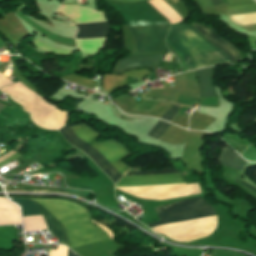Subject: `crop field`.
<instances>
[{"instance_id": "obj_1", "label": "crop field", "mask_w": 256, "mask_h": 256, "mask_svg": "<svg viewBox=\"0 0 256 256\" xmlns=\"http://www.w3.org/2000/svg\"><path fill=\"white\" fill-rule=\"evenodd\" d=\"M171 172L177 171L174 169H164L160 171H142L138 173H127V175ZM174 183H185L184 180L180 178V173L124 176L117 183L116 186ZM155 209L162 221L149 224V228L216 215L214 209L209 204H207L202 199V197L183 200L168 205L157 206L155 207Z\"/></svg>"}, {"instance_id": "obj_2", "label": "crop field", "mask_w": 256, "mask_h": 256, "mask_svg": "<svg viewBox=\"0 0 256 256\" xmlns=\"http://www.w3.org/2000/svg\"><path fill=\"white\" fill-rule=\"evenodd\" d=\"M73 128L81 138L100 151L122 175L129 170V167L122 162V160L131 155L125 146L115 142L114 140L98 143L96 140L100 134L86 126L84 123L73 125ZM73 128L72 126L68 127L66 125L59 131L71 145L90 157L97 166L113 180L114 183L122 178L123 176L110 164V162L94 147L81 139Z\"/></svg>"}, {"instance_id": "obj_3", "label": "crop field", "mask_w": 256, "mask_h": 256, "mask_svg": "<svg viewBox=\"0 0 256 256\" xmlns=\"http://www.w3.org/2000/svg\"><path fill=\"white\" fill-rule=\"evenodd\" d=\"M166 40L182 56L188 70L228 62L224 53L212 46L189 25H172Z\"/></svg>"}, {"instance_id": "obj_4", "label": "crop field", "mask_w": 256, "mask_h": 256, "mask_svg": "<svg viewBox=\"0 0 256 256\" xmlns=\"http://www.w3.org/2000/svg\"><path fill=\"white\" fill-rule=\"evenodd\" d=\"M49 210L63 225L90 221L89 210L68 201L33 199Z\"/></svg>"}, {"instance_id": "obj_5", "label": "crop field", "mask_w": 256, "mask_h": 256, "mask_svg": "<svg viewBox=\"0 0 256 256\" xmlns=\"http://www.w3.org/2000/svg\"><path fill=\"white\" fill-rule=\"evenodd\" d=\"M168 26L129 27L136 38L138 52L168 51L164 45Z\"/></svg>"}, {"instance_id": "obj_6", "label": "crop field", "mask_w": 256, "mask_h": 256, "mask_svg": "<svg viewBox=\"0 0 256 256\" xmlns=\"http://www.w3.org/2000/svg\"><path fill=\"white\" fill-rule=\"evenodd\" d=\"M70 241V248L110 240L107 234L91 223H80L65 226Z\"/></svg>"}, {"instance_id": "obj_7", "label": "crop field", "mask_w": 256, "mask_h": 256, "mask_svg": "<svg viewBox=\"0 0 256 256\" xmlns=\"http://www.w3.org/2000/svg\"><path fill=\"white\" fill-rule=\"evenodd\" d=\"M163 56L127 57L116 63L113 72L121 73L124 70L136 67H150L157 65Z\"/></svg>"}, {"instance_id": "obj_8", "label": "crop field", "mask_w": 256, "mask_h": 256, "mask_svg": "<svg viewBox=\"0 0 256 256\" xmlns=\"http://www.w3.org/2000/svg\"><path fill=\"white\" fill-rule=\"evenodd\" d=\"M193 25L203 34V36L208 41L212 42L213 44L218 46L220 49H222L229 56L231 63L241 61L237 53V50L234 47L227 44L226 42H224L223 40H221L220 38H218L217 35L211 29H208L204 26H199L197 24H193Z\"/></svg>"}, {"instance_id": "obj_9", "label": "crop field", "mask_w": 256, "mask_h": 256, "mask_svg": "<svg viewBox=\"0 0 256 256\" xmlns=\"http://www.w3.org/2000/svg\"><path fill=\"white\" fill-rule=\"evenodd\" d=\"M76 39L106 37L109 29L107 22L78 24Z\"/></svg>"}, {"instance_id": "obj_10", "label": "crop field", "mask_w": 256, "mask_h": 256, "mask_svg": "<svg viewBox=\"0 0 256 256\" xmlns=\"http://www.w3.org/2000/svg\"><path fill=\"white\" fill-rule=\"evenodd\" d=\"M221 165L243 170L247 162H245L237 153L226 147L221 150L219 160Z\"/></svg>"}, {"instance_id": "obj_11", "label": "crop field", "mask_w": 256, "mask_h": 256, "mask_svg": "<svg viewBox=\"0 0 256 256\" xmlns=\"http://www.w3.org/2000/svg\"><path fill=\"white\" fill-rule=\"evenodd\" d=\"M196 74L200 80L201 96H216L211 82L213 75V67L198 70L196 71Z\"/></svg>"}, {"instance_id": "obj_12", "label": "crop field", "mask_w": 256, "mask_h": 256, "mask_svg": "<svg viewBox=\"0 0 256 256\" xmlns=\"http://www.w3.org/2000/svg\"><path fill=\"white\" fill-rule=\"evenodd\" d=\"M41 210L43 217L48 225L49 230L58 238L60 242H68L65 229L59 222L49 214L45 209H43L39 204L35 203Z\"/></svg>"}, {"instance_id": "obj_13", "label": "crop field", "mask_w": 256, "mask_h": 256, "mask_svg": "<svg viewBox=\"0 0 256 256\" xmlns=\"http://www.w3.org/2000/svg\"><path fill=\"white\" fill-rule=\"evenodd\" d=\"M125 81H126V77L104 74L103 76L104 91L110 93L114 89L120 86H124Z\"/></svg>"}, {"instance_id": "obj_14", "label": "crop field", "mask_w": 256, "mask_h": 256, "mask_svg": "<svg viewBox=\"0 0 256 256\" xmlns=\"http://www.w3.org/2000/svg\"><path fill=\"white\" fill-rule=\"evenodd\" d=\"M22 207L23 216L41 215L34 202L28 199H12Z\"/></svg>"}, {"instance_id": "obj_15", "label": "crop field", "mask_w": 256, "mask_h": 256, "mask_svg": "<svg viewBox=\"0 0 256 256\" xmlns=\"http://www.w3.org/2000/svg\"><path fill=\"white\" fill-rule=\"evenodd\" d=\"M229 10L256 7V3L253 0H228Z\"/></svg>"}, {"instance_id": "obj_16", "label": "crop field", "mask_w": 256, "mask_h": 256, "mask_svg": "<svg viewBox=\"0 0 256 256\" xmlns=\"http://www.w3.org/2000/svg\"><path fill=\"white\" fill-rule=\"evenodd\" d=\"M63 79L72 81L74 83L85 86L87 88H91L92 84L95 81V80L86 79L78 74H71V75L64 77Z\"/></svg>"}, {"instance_id": "obj_17", "label": "crop field", "mask_w": 256, "mask_h": 256, "mask_svg": "<svg viewBox=\"0 0 256 256\" xmlns=\"http://www.w3.org/2000/svg\"><path fill=\"white\" fill-rule=\"evenodd\" d=\"M168 126L169 123L159 120L148 135L159 139V137L162 135V133L166 130Z\"/></svg>"}, {"instance_id": "obj_18", "label": "crop field", "mask_w": 256, "mask_h": 256, "mask_svg": "<svg viewBox=\"0 0 256 256\" xmlns=\"http://www.w3.org/2000/svg\"><path fill=\"white\" fill-rule=\"evenodd\" d=\"M22 156V154H19L18 152H14L13 150L9 151L5 155L0 157V167L13 161L14 159Z\"/></svg>"}, {"instance_id": "obj_19", "label": "crop field", "mask_w": 256, "mask_h": 256, "mask_svg": "<svg viewBox=\"0 0 256 256\" xmlns=\"http://www.w3.org/2000/svg\"><path fill=\"white\" fill-rule=\"evenodd\" d=\"M180 107L172 105L162 116V119L172 122L175 116L178 114Z\"/></svg>"}, {"instance_id": "obj_20", "label": "crop field", "mask_w": 256, "mask_h": 256, "mask_svg": "<svg viewBox=\"0 0 256 256\" xmlns=\"http://www.w3.org/2000/svg\"><path fill=\"white\" fill-rule=\"evenodd\" d=\"M151 71L148 69H143V70H136V71H130V72H125L123 75H130L138 80L142 79L144 76H146L148 73Z\"/></svg>"}, {"instance_id": "obj_21", "label": "crop field", "mask_w": 256, "mask_h": 256, "mask_svg": "<svg viewBox=\"0 0 256 256\" xmlns=\"http://www.w3.org/2000/svg\"><path fill=\"white\" fill-rule=\"evenodd\" d=\"M68 248L59 246L58 250H50L49 256H67Z\"/></svg>"}, {"instance_id": "obj_22", "label": "crop field", "mask_w": 256, "mask_h": 256, "mask_svg": "<svg viewBox=\"0 0 256 256\" xmlns=\"http://www.w3.org/2000/svg\"><path fill=\"white\" fill-rule=\"evenodd\" d=\"M12 84V82L6 78L2 73H0V87H3L5 85Z\"/></svg>"}, {"instance_id": "obj_23", "label": "crop field", "mask_w": 256, "mask_h": 256, "mask_svg": "<svg viewBox=\"0 0 256 256\" xmlns=\"http://www.w3.org/2000/svg\"><path fill=\"white\" fill-rule=\"evenodd\" d=\"M91 221H92V220H91ZM92 222L95 223V224H97L98 226H100V227L110 236L111 240H113V235H112V233H111L110 230H108L106 227H104V226H102V225H100V224H98V223H96V222H94V221H92Z\"/></svg>"}, {"instance_id": "obj_24", "label": "crop field", "mask_w": 256, "mask_h": 256, "mask_svg": "<svg viewBox=\"0 0 256 256\" xmlns=\"http://www.w3.org/2000/svg\"><path fill=\"white\" fill-rule=\"evenodd\" d=\"M210 1L212 2L213 6L222 5L221 0H210Z\"/></svg>"}, {"instance_id": "obj_25", "label": "crop field", "mask_w": 256, "mask_h": 256, "mask_svg": "<svg viewBox=\"0 0 256 256\" xmlns=\"http://www.w3.org/2000/svg\"><path fill=\"white\" fill-rule=\"evenodd\" d=\"M171 56H172L171 53H167L166 58H165L164 61H170L171 60Z\"/></svg>"}, {"instance_id": "obj_26", "label": "crop field", "mask_w": 256, "mask_h": 256, "mask_svg": "<svg viewBox=\"0 0 256 256\" xmlns=\"http://www.w3.org/2000/svg\"><path fill=\"white\" fill-rule=\"evenodd\" d=\"M245 186H247L248 188H250V189H252L253 191H255L256 192V189L255 188H253V187H251V186H249L247 183H243Z\"/></svg>"}, {"instance_id": "obj_27", "label": "crop field", "mask_w": 256, "mask_h": 256, "mask_svg": "<svg viewBox=\"0 0 256 256\" xmlns=\"http://www.w3.org/2000/svg\"><path fill=\"white\" fill-rule=\"evenodd\" d=\"M68 256H75V255L69 251Z\"/></svg>"}, {"instance_id": "obj_28", "label": "crop field", "mask_w": 256, "mask_h": 256, "mask_svg": "<svg viewBox=\"0 0 256 256\" xmlns=\"http://www.w3.org/2000/svg\"><path fill=\"white\" fill-rule=\"evenodd\" d=\"M4 107V105L0 104V110Z\"/></svg>"}, {"instance_id": "obj_29", "label": "crop field", "mask_w": 256, "mask_h": 256, "mask_svg": "<svg viewBox=\"0 0 256 256\" xmlns=\"http://www.w3.org/2000/svg\"><path fill=\"white\" fill-rule=\"evenodd\" d=\"M60 4L64 1V0H57Z\"/></svg>"}, {"instance_id": "obj_30", "label": "crop field", "mask_w": 256, "mask_h": 256, "mask_svg": "<svg viewBox=\"0 0 256 256\" xmlns=\"http://www.w3.org/2000/svg\"><path fill=\"white\" fill-rule=\"evenodd\" d=\"M0 189H2V188L0 187Z\"/></svg>"}]
</instances>
